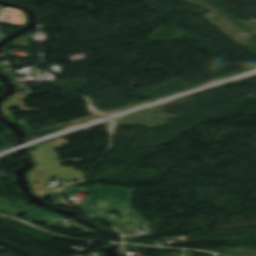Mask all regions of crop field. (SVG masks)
<instances>
[{"instance_id":"412701ff","label":"crop field","mask_w":256,"mask_h":256,"mask_svg":"<svg viewBox=\"0 0 256 256\" xmlns=\"http://www.w3.org/2000/svg\"><path fill=\"white\" fill-rule=\"evenodd\" d=\"M53 204H55V205H63V206H65V207H68V206H66L60 199H57L56 201H54V202H52Z\"/></svg>"},{"instance_id":"8a807250","label":"crop field","mask_w":256,"mask_h":256,"mask_svg":"<svg viewBox=\"0 0 256 256\" xmlns=\"http://www.w3.org/2000/svg\"><path fill=\"white\" fill-rule=\"evenodd\" d=\"M78 183L66 186L62 193L72 194L77 192H88L91 193L90 196L86 197L84 201L81 202L79 207L81 210L93 215L94 217L108 222L112 226L126 225V224H136L148 222L141 215H139L135 210L130 207L132 200V194L134 189H116L111 187H81L75 188ZM88 201L91 211H89L85 201ZM107 210L93 211V209L101 208H113L121 207ZM108 212H119L122 214V219H115V215H108Z\"/></svg>"},{"instance_id":"34b2d1b8","label":"crop field","mask_w":256,"mask_h":256,"mask_svg":"<svg viewBox=\"0 0 256 256\" xmlns=\"http://www.w3.org/2000/svg\"><path fill=\"white\" fill-rule=\"evenodd\" d=\"M10 107H17V108H20L21 111L8 113V108H10ZM1 108H2V111H3V114H4V115H12L13 113L26 112V111L39 112V110H37V109L25 108L24 102H23V101H20V100L5 101V102L1 105Z\"/></svg>"},{"instance_id":"ac0d7876","label":"crop field","mask_w":256,"mask_h":256,"mask_svg":"<svg viewBox=\"0 0 256 256\" xmlns=\"http://www.w3.org/2000/svg\"><path fill=\"white\" fill-rule=\"evenodd\" d=\"M66 144H68L66 139H58L34 146L36 150L28 152L32 156V161L36 162L35 168L28 171V174L37 195L59 192V189L45 187L50 176H56V181H59V178L64 179V181L83 179L82 171H75L73 167H61L60 165V163L71 161H59V156L54 148L63 147ZM35 182H38V185H35Z\"/></svg>"}]
</instances>
